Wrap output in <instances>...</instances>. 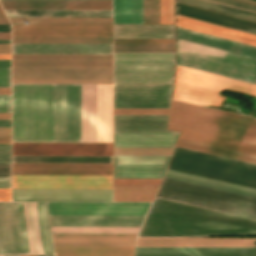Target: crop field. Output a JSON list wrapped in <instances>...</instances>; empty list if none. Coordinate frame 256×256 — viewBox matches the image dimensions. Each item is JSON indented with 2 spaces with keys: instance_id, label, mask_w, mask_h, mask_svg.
<instances>
[{
  "instance_id": "obj_1",
  "label": "crop field",
  "mask_w": 256,
  "mask_h": 256,
  "mask_svg": "<svg viewBox=\"0 0 256 256\" xmlns=\"http://www.w3.org/2000/svg\"><path fill=\"white\" fill-rule=\"evenodd\" d=\"M256 234V221L156 198L138 236Z\"/></svg>"
},
{
  "instance_id": "obj_2",
  "label": "crop field",
  "mask_w": 256,
  "mask_h": 256,
  "mask_svg": "<svg viewBox=\"0 0 256 256\" xmlns=\"http://www.w3.org/2000/svg\"><path fill=\"white\" fill-rule=\"evenodd\" d=\"M12 141L52 142V84H12Z\"/></svg>"
},
{
  "instance_id": "obj_3",
  "label": "crop field",
  "mask_w": 256,
  "mask_h": 256,
  "mask_svg": "<svg viewBox=\"0 0 256 256\" xmlns=\"http://www.w3.org/2000/svg\"><path fill=\"white\" fill-rule=\"evenodd\" d=\"M169 123L256 143V118L172 100Z\"/></svg>"
},
{
  "instance_id": "obj_4",
  "label": "crop field",
  "mask_w": 256,
  "mask_h": 256,
  "mask_svg": "<svg viewBox=\"0 0 256 256\" xmlns=\"http://www.w3.org/2000/svg\"><path fill=\"white\" fill-rule=\"evenodd\" d=\"M158 198L256 220V199L164 178Z\"/></svg>"
},
{
  "instance_id": "obj_5",
  "label": "crop field",
  "mask_w": 256,
  "mask_h": 256,
  "mask_svg": "<svg viewBox=\"0 0 256 256\" xmlns=\"http://www.w3.org/2000/svg\"><path fill=\"white\" fill-rule=\"evenodd\" d=\"M169 169L256 189V165L175 147Z\"/></svg>"
},
{
  "instance_id": "obj_6",
  "label": "crop field",
  "mask_w": 256,
  "mask_h": 256,
  "mask_svg": "<svg viewBox=\"0 0 256 256\" xmlns=\"http://www.w3.org/2000/svg\"><path fill=\"white\" fill-rule=\"evenodd\" d=\"M223 90L256 96V85L176 65L173 99L220 108Z\"/></svg>"
},
{
  "instance_id": "obj_7",
  "label": "crop field",
  "mask_w": 256,
  "mask_h": 256,
  "mask_svg": "<svg viewBox=\"0 0 256 256\" xmlns=\"http://www.w3.org/2000/svg\"><path fill=\"white\" fill-rule=\"evenodd\" d=\"M177 52L227 64L228 52L178 40ZM176 64L256 84V59L230 53L229 66L178 54Z\"/></svg>"
},
{
  "instance_id": "obj_8",
  "label": "crop field",
  "mask_w": 256,
  "mask_h": 256,
  "mask_svg": "<svg viewBox=\"0 0 256 256\" xmlns=\"http://www.w3.org/2000/svg\"><path fill=\"white\" fill-rule=\"evenodd\" d=\"M53 142H80V84H53Z\"/></svg>"
},
{
  "instance_id": "obj_9",
  "label": "crop field",
  "mask_w": 256,
  "mask_h": 256,
  "mask_svg": "<svg viewBox=\"0 0 256 256\" xmlns=\"http://www.w3.org/2000/svg\"><path fill=\"white\" fill-rule=\"evenodd\" d=\"M12 83H112V68H12Z\"/></svg>"
},
{
  "instance_id": "obj_10",
  "label": "crop field",
  "mask_w": 256,
  "mask_h": 256,
  "mask_svg": "<svg viewBox=\"0 0 256 256\" xmlns=\"http://www.w3.org/2000/svg\"><path fill=\"white\" fill-rule=\"evenodd\" d=\"M171 84H114V108H169Z\"/></svg>"
},
{
  "instance_id": "obj_11",
  "label": "crop field",
  "mask_w": 256,
  "mask_h": 256,
  "mask_svg": "<svg viewBox=\"0 0 256 256\" xmlns=\"http://www.w3.org/2000/svg\"><path fill=\"white\" fill-rule=\"evenodd\" d=\"M12 188L112 189V176L12 175Z\"/></svg>"
},
{
  "instance_id": "obj_12",
  "label": "crop field",
  "mask_w": 256,
  "mask_h": 256,
  "mask_svg": "<svg viewBox=\"0 0 256 256\" xmlns=\"http://www.w3.org/2000/svg\"><path fill=\"white\" fill-rule=\"evenodd\" d=\"M0 254H29L21 202H0Z\"/></svg>"
},
{
  "instance_id": "obj_13",
  "label": "crop field",
  "mask_w": 256,
  "mask_h": 256,
  "mask_svg": "<svg viewBox=\"0 0 256 256\" xmlns=\"http://www.w3.org/2000/svg\"><path fill=\"white\" fill-rule=\"evenodd\" d=\"M173 61H114V83H171Z\"/></svg>"
},
{
  "instance_id": "obj_14",
  "label": "crop field",
  "mask_w": 256,
  "mask_h": 256,
  "mask_svg": "<svg viewBox=\"0 0 256 256\" xmlns=\"http://www.w3.org/2000/svg\"><path fill=\"white\" fill-rule=\"evenodd\" d=\"M12 155L112 156V143H12Z\"/></svg>"
},
{
  "instance_id": "obj_15",
  "label": "crop field",
  "mask_w": 256,
  "mask_h": 256,
  "mask_svg": "<svg viewBox=\"0 0 256 256\" xmlns=\"http://www.w3.org/2000/svg\"><path fill=\"white\" fill-rule=\"evenodd\" d=\"M12 67H112V55H12Z\"/></svg>"
},
{
  "instance_id": "obj_16",
  "label": "crop field",
  "mask_w": 256,
  "mask_h": 256,
  "mask_svg": "<svg viewBox=\"0 0 256 256\" xmlns=\"http://www.w3.org/2000/svg\"><path fill=\"white\" fill-rule=\"evenodd\" d=\"M151 203H47L49 215H145Z\"/></svg>"
},
{
  "instance_id": "obj_17",
  "label": "crop field",
  "mask_w": 256,
  "mask_h": 256,
  "mask_svg": "<svg viewBox=\"0 0 256 256\" xmlns=\"http://www.w3.org/2000/svg\"><path fill=\"white\" fill-rule=\"evenodd\" d=\"M12 201H112V190L12 189Z\"/></svg>"
},
{
  "instance_id": "obj_18",
  "label": "crop field",
  "mask_w": 256,
  "mask_h": 256,
  "mask_svg": "<svg viewBox=\"0 0 256 256\" xmlns=\"http://www.w3.org/2000/svg\"><path fill=\"white\" fill-rule=\"evenodd\" d=\"M169 156H114V178H162Z\"/></svg>"
},
{
  "instance_id": "obj_19",
  "label": "crop field",
  "mask_w": 256,
  "mask_h": 256,
  "mask_svg": "<svg viewBox=\"0 0 256 256\" xmlns=\"http://www.w3.org/2000/svg\"><path fill=\"white\" fill-rule=\"evenodd\" d=\"M12 36H112V25H12Z\"/></svg>"
},
{
  "instance_id": "obj_20",
  "label": "crop field",
  "mask_w": 256,
  "mask_h": 256,
  "mask_svg": "<svg viewBox=\"0 0 256 256\" xmlns=\"http://www.w3.org/2000/svg\"><path fill=\"white\" fill-rule=\"evenodd\" d=\"M12 174L112 175V164L12 163Z\"/></svg>"
},
{
  "instance_id": "obj_21",
  "label": "crop field",
  "mask_w": 256,
  "mask_h": 256,
  "mask_svg": "<svg viewBox=\"0 0 256 256\" xmlns=\"http://www.w3.org/2000/svg\"><path fill=\"white\" fill-rule=\"evenodd\" d=\"M256 238H138L136 247H255Z\"/></svg>"
},
{
  "instance_id": "obj_22",
  "label": "crop field",
  "mask_w": 256,
  "mask_h": 256,
  "mask_svg": "<svg viewBox=\"0 0 256 256\" xmlns=\"http://www.w3.org/2000/svg\"><path fill=\"white\" fill-rule=\"evenodd\" d=\"M12 54H112V44H12Z\"/></svg>"
},
{
  "instance_id": "obj_23",
  "label": "crop field",
  "mask_w": 256,
  "mask_h": 256,
  "mask_svg": "<svg viewBox=\"0 0 256 256\" xmlns=\"http://www.w3.org/2000/svg\"><path fill=\"white\" fill-rule=\"evenodd\" d=\"M3 9H112L111 0H0Z\"/></svg>"
},
{
  "instance_id": "obj_24",
  "label": "crop field",
  "mask_w": 256,
  "mask_h": 256,
  "mask_svg": "<svg viewBox=\"0 0 256 256\" xmlns=\"http://www.w3.org/2000/svg\"><path fill=\"white\" fill-rule=\"evenodd\" d=\"M137 234H52L54 246H134Z\"/></svg>"
},
{
  "instance_id": "obj_25",
  "label": "crop field",
  "mask_w": 256,
  "mask_h": 256,
  "mask_svg": "<svg viewBox=\"0 0 256 256\" xmlns=\"http://www.w3.org/2000/svg\"><path fill=\"white\" fill-rule=\"evenodd\" d=\"M135 256H256V248H136Z\"/></svg>"
},
{
  "instance_id": "obj_26",
  "label": "crop field",
  "mask_w": 256,
  "mask_h": 256,
  "mask_svg": "<svg viewBox=\"0 0 256 256\" xmlns=\"http://www.w3.org/2000/svg\"><path fill=\"white\" fill-rule=\"evenodd\" d=\"M145 216H49L51 226H140Z\"/></svg>"
},
{
  "instance_id": "obj_27",
  "label": "crop field",
  "mask_w": 256,
  "mask_h": 256,
  "mask_svg": "<svg viewBox=\"0 0 256 256\" xmlns=\"http://www.w3.org/2000/svg\"><path fill=\"white\" fill-rule=\"evenodd\" d=\"M168 129L182 131L179 137L181 139L256 155V144L253 143L179 127L171 124H169Z\"/></svg>"
},
{
  "instance_id": "obj_28",
  "label": "crop field",
  "mask_w": 256,
  "mask_h": 256,
  "mask_svg": "<svg viewBox=\"0 0 256 256\" xmlns=\"http://www.w3.org/2000/svg\"><path fill=\"white\" fill-rule=\"evenodd\" d=\"M177 15L256 34V23L178 4Z\"/></svg>"
},
{
  "instance_id": "obj_29",
  "label": "crop field",
  "mask_w": 256,
  "mask_h": 256,
  "mask_svg": "<svg viewBox=\"0 0 256 256\" xmlns=\"http://www.w3.org/2000/svg\"><path fill=\"white\" fill-rule=\"evenodd\" d=\"M167 117L114 115V132L176 133L166 130Z\"/></svg>"
},
{
  "instance_id": "obj_30",
  "label": "crop field",
  "mask_w": 256,
  "mask_h": 256,
  "mask_svg": "<svg viewBox=\"0 0 256 256\" xmlns=\"http://www.w3.org/2000/svg\"><path fill=\"white\" fill-rule=\"evenodd\" d=\"M97 142H112V84H97Z\"/></svg>"
},
{
  "instance_id": "obj_31",
  "label": "crop field",
  "mask_w": 256,
  "mask_h": 256,
  "mask_svg": "<svg viewBox=\"0 0 256 256\" xmlns=\"http://www.w3.org/2000/svg\"><path fill=\"white\" fill-rule=\"evenodd\" d=\"M81 142H96V84H81Z\"/></svg>"
},
{
  "instance_id": "obj_32",
  "label": "crop field",
  "mask_w": 256,
  "mask_h": 256,
  "mask_svg": "<svg viewBox=\"0 0 256 256\" xmlns=\"http://www.w3.org/2000/svg\"><path fill=\"white\" fill-rule=\"evenodd\" d=\"M177 38L255 57L256 58V47L178 28L177 27Z\"/></svg>"
},
{
  "instance_id": "obj_33",
  "label": "crop field",
  "mask_w": 256,
  "mask_h": 256,
  "mask_svg": "<svg viewBox=\"0 0 256 256\" xmlns=\"http://www.w3.org/2000/svg\"><path fill=\"white\" fill-rule=\"evenodd\" d=\"M178 135L114 133V147H173Z\"/></svg>"
},
{
  "instance_id": "obj_34",
  "label": "crop field",
  "mask_w": 256,
  "mask_h": 256,
  "mask_svg": "<svg viewBox=\"0 0 256 256\" xmlns=\"http://www.w3.org/2000/svg\"><path fill=\"white\" fill-rule=\"evenodd\" d=\"M177 26L256 46V35L253 34L203 23L179 16H177Z\"/></svg>"
},
{
  "instance_id": "obj_35",
  "label": "crop field",
  "mask_w": 256,
  "mask_h": 256,
  "mask_svg": "<svg viewBox=\"0 0 256 256\" xmlns=\"http://www.w3.org/2000/svg\"><path fill=\"white\" fill-rule=\"evenodd\" d=\"M182 3L256 21V6L234 0H180Z\"/></svg>"
},
{
  "instance_id": "obj_36",
  "label": "crop field",
  "mask_w": 256,
  "mask_h": 256,
  "mask_svg": "<svg viewBox=\"0 0 256 256\" xmlns=\"http://www.w3.org/2000/svg\"><path fill=\"white\" fill-rule=\"evenodd\" d=\"M114 38H174V25H114Z\"/></svg>"
},
{
  "instance_id": "obj_37",
  "label": "crop field",
  "mask_w": 256,
  "mask_h": 256,
  "mask_svg": "<svg viewBox=\"0 0 256 256\" xmlns=\"http://www.w3.org/2000/svg\"><path fill=\"white\" fill-rule=\"evenodd\" d=\"M165 177L256 198L255 189L233 185L225 182H220V181H216L208 178H203V177L190 175L182 172H177L169 169L166 170Z\"/></svg>"
},
{
  "instance_id": "obj_38",
  "label": "crop field",
  "mask_w": 256,
  "mask_h": 256,
  "mask_svg": "<svg viewBox=\"0 0 256 256\" xmlns=\"http://www.w3.org/2000/svg\"><path fill=\"white\" fill-rule=\"evenodd\" d=\"M7 17H112V10H4Z\"/></svg>"
},
{
  "instance_id": "obj_39",
  "label": "crop field",
  "mask_w": 256,
  "mask_h": 256,
  "mask_svg": "<svg viewBox=\"0 0 256 256\" xmlns=\"http://www.w3.org/2000/svg\"><path fill=\"white\" fill-rule=\"evenodd\" d=\"M134 247H54L56 256H133Z\"/></svg>"
},
{
  "instance_id": "obj_40",
  "label": "crop field",
  "mask_w": 256,
  "mask_h": 256,
  "mask_svg": "<svg viewBox=\"0 0 256 256\" xmlns=\"http://www.w3.org/2000/svg\"><path fill=\"white\" fill-rule=\"evenodd\" d=\"M30 254H43L35 202H22Z\"/></svg>"
},
{
  "instance_id": "obj_41",
  "label": "crop field",
  "mask_w": 256,
  "mask_h": 256,
  "mask_svg": "<svg viewBox=\"0 0 256 256\" xmlns=\"http://www.w3.org/2000/svg\"><path fill=\"white\" fill-rule=\"evenodd\" d=\"M114 23L143 24L142 0H113Z\"/></svg>"
},
{
  "instance_id": "obj_42",
  "label": "crop field",
  "mask_w": 256,
  "mask_h": 256,
  "mask_svg": "<svg viewBox=\"0 0 256 256\" xmlns=\"http://www.w3.org/2000/svg\"><path fill=\"white\" fill-rule=\"evenodd\" d=\"M159 186H114V201H152Z\"/></svg>"
},
{
  "instance_id": "obj_43",
  "label": "crop field",
  "mask_w": 256,
  "mask_h": 256,
  "mask_svg": "<svg viewBox=\"0 0 256 256\" xmlns=\"http://www.w3.org/2000/svg\"><path fill=\"white\" fill-rule=\"evenodd\" d=\"M176 146L256 164V156L247 155V154H243V153H239V152H234V151H230V150L207 146V145L194 143V142H190V141H185V140H181V139L178 140Z\"/></svg>"
},
{
  "instance_id": "obj_44",
  "label": "crop field",
  "mask_w": 256,
  "mask_h": 256,
  "mask_svg": "<svg viewBox=\"0 0 256 256\" xmlns=\"http://www.w3.org/2000/svg\"><path fill=\"white\" fill-rule=\"evenodd\" d=\"M12 162L112 163V157L12 156Z\"/></svg>"
},
{
  "instance_id": "obj_45",
  "label": "crop field",
  "mask_w": 256,
  "mask_h": 256,
  "mask_svg": "<svg viewBox=\"0 0 256 256\" xmlns=\"http://www.w3.org/2000/svg\"><path fill=\"white\" fill-rule=\"evenodd\" d=\"M12 43H112V37H12Z\"/></svg>"
},
{
  "instance_id": "obj_46",
  "label": "crop field",
  "mask_w": 256,
  "mask_h": 256,
  "mask_svg": "<svg viewBox=\"0 0 256 256\" xmlns=\"http://www.w3.org/2000/svg\"><path fill=\"white\" fill-rule=\"evenodd\" d=\"M140 227H51L52 233H137Z\"/></svg>"
},
{
  "instance_id": "obj_47",
  "label": "crop field",
  "mask_w": 256,
  "mask_h": 256,
  "mask_svg": "<svg viewBox=\"0 0 256 256\" xmlns=\"http://www.w3.org/2000/svg\"><path fill=\"white\" fill-rule=\"evenodd\" d=\"M11 23H112V18H9Z\"/></svg>"
},
{
  "instance_id": "obj_48",
  "label": "crop field",
  "mask_w": 256,
  "mask_h": 256,
  "mask_svg": "<svg viewBox=\"0 0 256 256\" xmlns=\"http://www.w3.org/2000/svg\"><path fill=\"white\" fill-rule=\"evenodd\" d=\"M44 254H53L45 203L36 202Z\"/></svg>"
},
{
  "instance_id": "obj_49",
  "label": "crop field",
  "mask_w": 256,
  "mask_h": 256,
  "mask_svg": "<svg viewBox=\"0 0 256 256\" xmlns=\"http://www.w3.org/2000/svg\"><path fill=\"white\" fill-rule=\"evenodd\" d=\"M114 52H174V45H114Z\"/></svg>"
},
{
  "instance_id": "obj_50",
  "label": "crop field",
  "mask_w": 256,
  "mask_h": 256,
  "mask_svg": "<svg viewBox=\"0 0 256 256\" xmlns=\"http://www.w3.org/2000/svg\"><path fill=\"white\" fill-rule=\"evenodd\" d=\"M174 53H114V60H173Z\"/></svg>"
},
{
  "instance_id": "obj_51",
  "label": "crop field",
  "mask_w": 256,
  "mask_h": 256,
  "mask_svg": "<svg viewBox=\"0 0 256 256\" xmlns=\"http://www.w3.org/2000/svg\"><path fill=\"white\" fill-rule=\"evenodd\" d=\"M173 148H114V155H170Z\"/></svg>"
},
{
  "instance_id": "obj_52",
  "label": "crop field",
  "mask_w": 256,
  "mask_h": 256,
  "mask_svg": "<svg viewBox=\"0 0 256 256\" xmlns=\"http://www.w3.org/2000/svg\"><path fill=\"white\" fill-rule=\"evenodd\" d=\"M144 24H160L159 0H143Z\"/></svg>"
},
{
  "instance_id": "obj_53",
  "label": "crop field",
  "mask_w": 256,
  "mask_h": 256,
  "mask_svg": "<svg viewBox=\"0 0 256 256\" xmlns=\"http://www.w3.org/2000/svg\"><path fill=\"white\" fill-rule=\"evenodd\" d=\"M161 24H174L173 0H160Z\"/></svg>"
},
{
  "instance_id": "obj_54",
  "label": "crop field",
  "mask_w": 256,
  "mask_h": 256,
  "mask_svg": "<svg viewBox=\"0 0 256 256\" xmlns=\"http://www.w3.org/2000/svg\"><path fill=\"white\" fill-rule=\"evenodd\" d=\"M114 44H174V39H114Z\"/></svg>"
},
{
  "instance_id": "obj_55",
  "label": "crop field",
  "mask_w": 256,
  "mask_h": 256,
  "mask_svg": "<svg viewBox=\"0 0 256 256\" xmlns=\"http://www.w3.org/2000/svg\"><path fill=\"white\" fill-rule=\"evenodd\" d=\"M169 109H114V114L168 115Z\"/></svg>"
},
{
  "instance_id": "obj_56",
  "label": "crop field",
  "mask_w": 256,
  "mask_h": 256,
  "mask_svg": "<svg viewBox=\"0 0 256 256\" xmlns=\"http://www.w3.org/2000/svg\"><path fill=\"white\" fill-rule=\"evenodd\" d=\"M162 179H114V185H159Z\"/></svg>"
},
{
  "instance_id": "obj_57",
  "label": "crop field",
  "mask_w": 256,
  "mask_h": 256,
  "mask_svg": "<svg viewBox=\"0 0 256 256\" xmlns=\"http://www.w3.org/2000/svg\"><path fill=\"white\" fill-rule=\"evenodd\" d=\"M0 87H10V68H0Z\"/></svg>"
},
{
  "instance_id": "obj_58",
  "label": "crop field",
  "mask_w": 256,
  "mask_h": 256,
  "mask_svg": "<svg viewBox=\"0 0 256 256\" xmlns=\"http://www.w3.org/2000/svg\"><path fill=\"white\" fill-rule=\"evenodd\" d=\"M0 163H10V145H0Z\"/></svg>"
},
{
  "instance_id": "obj_59",
  "label": "crop field",
  "mask_w": 256,
  "mask_h": 256,
  "mask_svg": "<svg viewBox=\"0 0 256 256\" xmlns=\"http://www.w3.org/2000/svg\"><path fill=\"white\" fill-rule=\"evenodd\" d=\"M0 112H10V95H0Z\"/></svg>"
},
{
  "instance_id": "obj_60",
  "label": "crop field",
  "mask_w": 256,
  "mask_h": 256,
  "mask_svg": "<svg viewBox=\"0 0 256 256\" xmlns=\"http://www.w3.org/2000/svg\"><path fill=\"white\" fill-rule=\"evenodd\" d=\"M0 177H10V164H0Z\"/></svg>"
},
{
  "instance_id": "obj_61",
  "label": "crop field",
  "mask_w": 256,
  "mask_h": 256,
  "mask_svg": "<svg viewBox=\"0 0 256 256\" xmlns=\"http://www.w3.org/2000/svg\"><path fill=\"white\" fill-rule=\"evenodd\" d=\"M0 201H10V189H0Z\"/></svg>"
},
{
  "instance_id": "obj_62",
  "label": "crop field",
  "mask_w": 256,
  "mask_h": 256,
  "mask_svg": "<svg viewBox=\"0 0 256 256\" xmlns=\"http://www.w3.org/2000/svg\"><path fill=\"white\" fill-rule=\"evenodd\" d=\"M0 188H10V178H0Z\"/></svg>"
},
{
  "instance_id": "obj_63",
  "label": "crop field",
  "mask_w": 256,
  "mask_h": 256,
  "mask_svg": "<svg viewBox=\"0 0 256 256\" xmlns=\"http://www.w3.org/2000/svg\"><path fill=\"white\" fill-rule=\"evenodd\" d=\"M0 53H10V44H0Z\"/></svg>"
},
{
  "instance_id": "obj_64",
  "label": "crop field",
  "mask_w": 256,
  "mask_h": 256,
  "mask_svg": "<svg viewBox=\"0 0 256 256\" xmlns=\"http://www.w3.org/2000/svg\"><path fill=\"white\" fill-rule=\"evenodd\" d=\"M0 136H10V128H0Z\"/></svg>"
},
{
  "instance_id": "obj_65",
  "label": "crop field",
  "mask_w": 256,
  "mask_h": 256,
  "mask_svg": "<svg viewBox=\"0 0 256 256\" xmlns=\"http://www.w3.org/2000/svg\"><path fill=\"white\" fill-rule=\"evenodd\" d=\"M0 23H8L2 9L0 8Z\"/></svg>"
},
{
  "instance_id": "obj_66",
  "label": "crop field",
  "mask_w": 256,
  "mask_h": 256,
  "mask_svg": "<svg viewBox=\"0 0 256 256\" xmlns=\"http://www.w3.org/2000/svg\"><path fill=\"white\" fill-rule=\"evenodd\" d=\"M0 144H10V137H0Z\"/></svg>"
},
{
  "instance_id": "obj_67",
  "label": "crop field",
  "mask_w": 256,
  "mask_h": 256,
  "mask_svg": "<svg viewBox=\"0 0 256 256\" xmlns=\"http://www.w3.org/2000/svg\"><path fill=\"white\" fill-rule=\"evenodd\" d=\"M0 127H10V120H0Z\"/></svg>"
},
{
  "instance_id": "obj_68",
  "label": "crop field",
  "mask_w": 256,
  "mask_h": 256,
  "mask_svg": "<svg viewBox=\"0 0 256 256\" xmlns=\"http://www.w3.org/2000/svg\"><path fill=\"white\" fill-rule=\"evenodd\" d=\"M0 67H10V60H0Z\"/></svg>"
},
{
  "instance_id": "obj_69",
  "label": "crop field",
  "mask_w": 256,
  "mask_h": 256,
  "mask_svg": "<svg viewBox=\"0 0 256 256\" xmlns=\"http://www.w3.org/2000/svg\"><path fill=\"white\" fill-rule=\"evenodd\" d=\"M0 94H10V88H0Z\"/></svg>"
},
{
  "instance_id": "obj_70",
  "label": "crop field",
  "mask_w": 256,
  "mask_h": 256,
  "mask_svg": "<svg viewBox=\"0 0 256 256\" xmlns=\"http://www.w3.org/2000/svg\"><path fill=\"white\" fill-rule=\"evenodd\" d=\"M0 39H10V33H0Z\"/></svg>"
},
{
  "instance_id": "obj_71",
  "label": "crop field",
  "mask_w": 256,
  "mask_h": 256,
  "mask_svg": "<svg viewBox=\"0 0 256 256\" xmlns=\"http://www.w3.org/2000/svg\"><path fill=\"white\" fill-rule=\"evenodd\" d=\"M0 119H10V114H0Z\"/></svg>"
},
{
  "instance_id": "obj_72",
  "label": "crop field",
  "mask_w": 256,
  "mask_h": 256,
  "mask_svg": "<svg viewBox=\"0 0 256 256\" xmlns=\"http://www.w3.org/2000/svg\"><path fill=\"white\" fill-rule=\"evenodd\" d=\"M0 59H10V54H0Z\"/></svg>"
},
{
  "instance_id": "obj_73",
  "label": "crop field",
  "mask_w": 256,
  "mask_h": 256,
  "mask_svg": "<svg viewBox=\"0 0 256 256\" xmlns=\"http://www.w3.org/2000/svg\"><path fill=\"white\" fill-rule=\"evenodd\" d=\"M241 1H245V2H248V3L256 4V1H254V0H241Z\"/></svg>"
},
{
  "instance_id": "obj_74",
  "label": "crop field",
  "mask_w": 256,
  "mask_h": 256,
  "mask_svg": "<svg viewBox=\"0 0 256 256\" xmlns=\"http://www.w3.org/2000/svg\"><path fill=\"white\" fill-rule=\"evenodd\" d=\"M0 43H10V40H0Z\"/></svg>"
},
{
  "instance_id": "obj_75",
  "label": "crop field",
  "mask_w": 256,
  "mask_h": 256,
  "mask_svg": "<svg viewBox=\"0 0 256 256\" xmlns=\"http://www.w3.org/2000/svg\"><path fill=\"white\" fill-rule=\"evenodd\" d=\"M36 256H54V255H36Z\"/></svg>"
},
{
  "instance_id": "obj_76",
  "label": "crop field",
  "mask_w": 256,
  "mask_h": 256,
  "mask_svg": "<svg viewBox=\"0 0 256 256\" xmlns=\"http://www.w3.org/2000/svg\"><path fill=\"white\" fill-rule=\"evenodd\" d=\"M27 256H35V255H27Z\"/></svg>"
}]
</instances>
